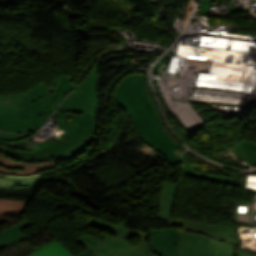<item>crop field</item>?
Here are the masks:
<instances>
[{
  "instance_id": "22f410ed",
  "label": "crop field",
  "mask_w": 256,
  "mask_h": 256,
  "mask_svg": "<svg viewBox=\"0 0 256 256\" xmlns=\"http://www.w3.org/2000/svg\"><path fill=\"white\" fill-rule=\"evenodd\" d=\"M28 256H73L58 241L51 242Z\"/></svg>"
},
{
  "instance_id": "214f88e0",
  "label": "crop field",
  "mask_w": 256,
  "mask_h": 256,
  "mask_svg": "<svg viewBox=\"0 0 256 256\" xmlns=\"http://www.w3.org/2000/svg\"><path fill=\"white\" fill-rule=\"evenodd\" d=\"M11 184H13V180L0 178V185H11Z\"/></svg>"
},
{
  "instance_id": "92a150f3",
  "label": "crop field",
  "mask_w": 256,
  "mask_h": 256,
  "mask_svg": "<svg viewBox=\"0 0 256 256\" xmlns=\"http://www.w3.org/2000/svg\"><path fill=\"white\" fill-rule=\"evenodd\" d=\"M238 255L239 256H251V255H249V254H247L245 252H242V251H239Z\"/></svg>"
},
{
  "instance_id": "cbeb9de0",
  "label": "crop field",
  "mask_w": 256,
  "mask_h": 256,
  "mask_svg": "<svg viewBox=\"0 0 256 256\" xmlns=\"http://www.w3.org/2000/svg\"><path fill=\"white\" fill-rule=\"evenodd\" d=\"M27 201L0 199V217L22 214Z\"/></svg>"
},
{
  "instance_id": "00972430",
  "label": "crop field",
  "mask_w": 256,
  "mask_h": 256,
  "mask_svg": "<svg viewBox=\"0 0 256 256\" xmlns=\"http://www.w3.org/2000/svg\"><path fill=\"white\" fill-rule=\"evenodd\" d=\"M0 149L4 150V149H6V148L0 146Z\"/></svg>"
},
{
  "instance_id": "ac0d7876",
  "label": "crop field",
  "mask_w": 256,
  "mask_h": 256,
  "mask_svg": "<svg viewBox=\"0 0 256 256\" xmlns=\"http://www.w3.org/2000/svg\"><path fill=\"white\" fill-rule=\"evenodd\" d=\"M178 185L163 182L162 201L157 219L168 222V226H181L177 242L179 256H205L209 236L238 244L234 227L197 223L171 218Z\"/></svg>"
},
{
  "instance_id": "412701ff",
  "label": "crop field",
  "mask_w": 256,
  "mask_h": 256,
  "mask_svg": "<svg viewBox=\"0 0 256 256\" xmlns=\"http://www.w3.org/2000/svg\"><path fill=\"white\" fill-rule=\"evenodd\" d=\"M56 113L60 116L57 122L67 129L62 138H52L21 147L33 152H19L11 149H6L4 152L21 159L64 158L77 153L89 142L93 134L95 115L69 111H56Z\"/></svg>"
},
{
  "instance_id": "dd49c442",
  "label": "crop field",
  "mask_w": 256,
  "mask_h": 256,
  "mask_svg": "<svg viewBox=\"0 0 256 256\" xmlns=\"http://www.w3.org/2000/svg\"><path fill=\"white\" fill-rule=\"evenodd\" d=\"M102 60L97 61L88 77L78 85L59 110L95 114L98 105V71Z\"/></svg>"
},
{
  "instance_id": "e52e79f7",
  "label": "crop field",
  "mask_w": 256,
  "mask_h": 256,
  "mask_svg": "<svg viewBox=\"0 0 256 256\" xmlns=\"http://www.w3.org/2000/svg\"><path fill=\"white\" fill-rule=\"evenodd\" d=\"M73 240L77 242L79 245H81L82 247H84L85 249L91 246L95 251V253L97 254V256H156L150 250V247L117 255L113 247L110 246L108 243L94 236H91L87 233Z\"/></svg>"
},
{
  "instance_id": "3316defc",
  "label": "crop field",
  "mask_w": 256,
  "mask_h": 256,
  "mask_svg": "<svg viewBox=\"0 0 256 256\" xmlns=\"http://www.w3.org/2000/svg\"><path fill=\"white\" fill-rule=\"evenodd\" d=\"M30 222L23 220L0 232V249L16 242L24 240L22 229L29 226Z\"/></svg>"
},
{
  "instance_id": "bc2a9ffb",
  "label": "crop field",
  "mask_w": 256,
  "mask_h": 256,
  "mask_svg": "<svg viewBox=\"0 0 256 256\" xmlns=\"http://www.w3.org/2000/svg\"><path fill=\"white\" fill-rule=\"evenodd\" d=\"M74 256H96V254L94 253V251L92 250V248H88Z\"/></svg>"
},
{
  "instance_id": "5142ce71",
  "label": "crop field",
  "mask_w": 256,
  "mask_h": 256,
  "mask_svg": "<svg viewBox=\"0 0 256 256\" xmlns=\"http://www.w3.org/2000/svg\"><path fill=\"white\" fill-rule=\"evenodd\" d=\"M233 245L209 238L206 256H232Z\"/></svg>"
},
{
  "instance_id": "d8731c3e",
  "label": "crop field",
  "mask_w": 256,
  "mask_h": 256,
  "mask_svg": "<svg viewBox=\"0 0 256 256\" xmlns=\"http://www.w3.org/2000/svg\"><path fill=\"white\" fill-rule=\"evenodd\" d=\"M179 233L180 230L176 229L152 230L150 237L151 250L157 256H178L175 245Z\"/></svg>"
},
{
  "instance_id": "733c2abd",
  "label": "crop field",
  "mask_w": 256,
  "mask_h": 256,
  "mask_svg": "<svg viewBox=\"0 0 256 256\" xmlns=\"http://www.w3.org/2000/svg\"><path fill=\"white\" fill-rule=\"evenodd\" d=\"M0 177L1 178L14 179V184L12 186H0V188H12V187L19 186V185H22V184L37 187L44 180V179L40 178V176H35V177H6V176H0Z\"/></svg>"
},
{
  "instance_id": "8a807250",
  "label": "crop field",
  "mask_w": 256,
  "mask_h": 256,
  "mask_svg": "<svg viewBox=\"0 0 256 256\" xmlns=\"http://www.w3.org/2000/svg\"><path fill=\"white\" fill-rule=\"evenodd\" d=\"M120 107L130 115L139 139L172 164L182 161L179 145L166 135L159 116L146 95L144 75H132L118 86L115 95Z\"/></svg>"
},
{
  "instance_id": "28ad6ade",
  "label": "crop field",
  "mask_w": 256,
  "mask_h": 256,
  "mask_svg": "<svg viewBox=\"0 0 256 256\" xmlns=\"http://www.w3.org/2000/svg\"><path fill=\"white\" fill-rule=\"evenodd\" d=\"M27 100V91L9 96H0V114L23 110Z\"/></svg>"
},
{
  "instance_id": "d1516ede",
  "label": "crop field",
  "mask_w": 256,
  "mask_h": 256,
  "mask_svg": "<svg viewBox=\"0 0 256 256\" xmlns=\"http://www.w3.org/2000/svg\"><path fill=\"white\" fill-rule=\"evenodd\" d=\"M189 153H191V152L187 151L182 154V157L185 161L184 172L186 174L192 175L195 177H199V178H203V179H207V180H211V181H215V182H219V183H223V184L234 185V186L240 185L237 181H235L234 179H231V178L220 177V176H211V175H205V174L195 172L193 170L192 166L188 163L187 158H186V156Z\"/></svg>"
},
{
  "instance_id": "f4fd0767",
  "label": "crop field",
  "mask_w": 256,
  "mask_h": 256,
  "mask_svg": "<svg viewBox=\"0 0 256 256\" xmlns=\"http://www.w3.org/2000/svg\"><path fill=\"white\" fill-rule=\"evenodd\" d=\"M86 225L113 233L114 235L112 237H110L109 239L106 238L104 240L114 247L117 254L150 246V232H131L125 227L128 224L124 221L121 222L119 225L115 226L113 224L106 223L95 218H90Z\"/></svg>"
},
{
  "instance_id": "5a996713",
  "label": "crop field",
  "mask_w": 256,
  "mask_h": 256,
  "mask_svg": "<svg viewBox=\"0 0 256 256\" xmlns=\"http://www.w3.org/2000/svg\"><path fill=\"white\" fill-rule=\"evenodd\" d=\"M57 161H46L40 163H23L13 161L0 156V171L20 174L36 173V171L51 168Z\"/></svg>"
},
{
  "instance_id": "34b2d1b8",
  "label": "crop field",
  "mask_w": 256,
  "mask_h": 256,
  "mask_svg": "<svg viewBox=\"0 0 256 256\" xmlns=\"http://www.w3.org/2000/svg\"><path fill=\"white\" fill-rule=\"evenodd\" d=\"M73 79L61 74L52 83V87L39 81L28 90V100L23 111L0 115V129L15 133H30L39 129L72 88Z\"/></svg>"
},
{
  "instance_id": "a9b5d70f",
  "label": "crop field",
  "mask_w": 256,
  "mask_h": 256,
  "mask_svg": "<svg viewBox=\"0 0 256 256\" xmlns=\"http://www.w3.org/2000/svg\"><path fill=\"white\" fill-rule=\"evenodd\" d=\"M0 155H2V154H0ZM3 156V155H2Z\"/></svg>"
},
{
  "instance_id": "dafd665d",
  "label": "crop field",
  "mask_w": 256,
  "mask_h": 256,
  "mask_svg": "<svg viewBox=\"0 0 256 256\" xmlns=\"http://www.w3.org/2000/svg\"><path fill=\"white\" fill-rule=\"evenodd\" d=\"M151 4H156L157 5V0H150Z\"/></svg>"
},
{
  "instance_id": "4a817a6b",
  "label": "crop field",
  "mask_w": 256,
  "mask_h": 256,
  "mask_svg": "<svg viewBox=\"0 0 256 256\" xmlns=\"http://www.w3.org/2000/svg\"><path fill=\"white\" fill-rule=\"evenodd\" d=\"M28 136L30 135H16V134L0 132V139H6V140H17V139L25 138Z\"/></svg>"
},
{
  "instance_id": "d9b57169",
  "label": "crop field",
  "mask_w": 256,
  "mask_h": 256,
  "mask_svg": "<svg viewBox=\"0 0 256 256\" xmlns=\"http://www.w3.org/2000/svg\"><path fill=\"white\" fill-rule=\"evenodd\" d=\"M232 150L248 164L254 165L256 163V143L244 141L240 145L232 148Z\"/></svg>"
}]
</instances>
